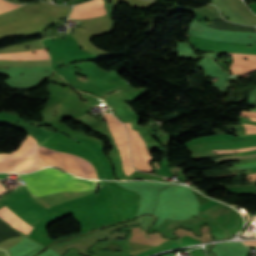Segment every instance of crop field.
I'll return each instance as SVG.
<instances>
[{
    "instance_id": "11",
    "label": "crop field",
    "mask_w": 256,
    "mask_h": 256,
    "mask_svg": "<svg viewBox=\"0 0 256 256\" xmlns=\"http://www.w3.org/2000/svg\"><path fill=\"white\" fill-rule=\"evenodd\" d=\"M250 149H256V146L238 149V150H213V151L217 153H226V152H237V151H244V150H250Z\"/></svg>"
},
{
    "instance_id": "9",
    "label": "crop field",
    "mask_w": 256,
    "mask_h": 256,
    "mask_svg": "<svg viewBox=\"0 0 256 256\" xmlns=\"http://www.w3.org/2000/svg\"><path fill=\"white\" fill-rule=\"evenodd\" d=\"M19 6H21V5H14V4H10L8 2H5L3 0H0V13L10 11L14 8L19 7Z\"/></svg>"
},
{
    "instance_id": "1",
    "label": "crop field",
    "mask_w": 256,
    "mask_h": 256,
    "mask_svg": "<svg viewBox=\"0 0 256 256\" xmlns=\"http://www.w3.org/2000/svg\"><path fill=\"white\" fill-rule=\"evenodd\" d=\"M2 200L7 206L34 226L49 215V213L32 198L31 194L24 186L3 197ZM7 206L2 209L0 208V218L7 221L13 228L28 235L34 226Z\"/></svg>"
},
{
    "instance_id": "8",
    "label": "crop field",
    "mask_w": 256,
    "mask_h": 256,
    "mask_svg": "<svg viewBox=\"0 0 256 256\" xmlns=\"http://www.w3.org/2000/svg\"><path fill=\"white\" fill-rule=\"evenodd\" d=\"M32 136H34L37 141L39 142V145H41L43 142L48 140L50 137L55 135V133L46 130L44 128H35L34 131L31 133Z\"/></svg>"
},
{
    "instance_id": "17",
    "label": "crop field",
    "mask_w": 256,
    "mask_h": 256,
    "mask_svg": "<svg viewBox=\"0 0 256 256\" xmlns=\"http://www.w3.org/2000/svg\"><path fill=\"white\" fill-rule=\"evenodd\" d=\"M157 168L160 169L159 166H157Z\"/></svg>"
},
{
    "instance_id": "4",
    "label": "crop field",
    "mask_w": 256,
    "mask_h": 256,
    "mask_svg": "<svg viewBox=\"0 0 256 256\" xmlns=\"http://www.w3.org/2000/svg\"><path fill=\"white\" fill-rule=\"evenodd\" d=\"M24 143L37 144L36 140L30 135ZM30 144H22L18 150L11 154H0V161L38 156L37 145ZM42 166L43 161L39 157L2 161L0 162V172L27 173L41 169Z\"/></svg>"
},
{
    "instance_id": "10",
    "label": "crop field",
    "mask_w": 256,
    "mask_h": 256,
    "mask_svg": "<svg viewBox=\"0 0 256 256\" xmlns=\"http://www.w3.org/2000/svg\"><path fill=\"white\" fill-rule=\"evenodd\" d=\"M248 120L256 121L255 118H248ZM245 128V133H256V125L243 124Z\"/></svg>"
},
{
    "instance_id": "15",
    "label": "crop field",
    "mask_w": 256,
    "mask_h": 256,
    "mask_svg": "<svg viewBox=\"0 0 256 256\" xmlns=\"http://www.w3.org/2000/svg\"><path fill=\"white\" fill-rule=\"evenodd\" d=\"M6 192V190L2 187V185L0 184V194Z\"/></svg>"
},
{
    "instance_id": "3",
    "label": "crop field",
    "mask_w": 256,
    "mask_h": 256,
    "mask_svg": "<svg viewBox=\"0 0 256 256\" xmlns=\"http://www.w3.org/2000/svg\"><path fill=\"white\" fill-rule=\"evenodd\" d=\"M189 42L195 46V48L201 51H215L219 54L232 52V53H244L256 55V45L248 47L247 45H236L218 42H209L189 36ZM231 54V53H230ZM244 54H231L234 62L230 69L232 73H250L256 71V56L244 55ZM247 58L248 60H243Z\"/></svg>"
},
{
    "instance_id": "5",
    "label": "crop field",
    "mask_w": 256,
    "mask_h": 256,
    "mask_svg": "<svg viewBox=\"0 0 256 256\" xmlns=\"http://www.w3.org/2000/svg\"><path fill=\"white\" fill-rule=\"evenodd\" d=\"M105 115L106 120L108 121L109 130L118 146L120 155L122 157L124 172L126 175H129L134 170L130 162L126 130L124 126L112 115Z\"/></svg>"
},
{
    "instance_id": "16",
    "label": "crop field",
    "mask_w": 256,
    "mask_h": 256,
    "mask_svg": "<svg viewBox=\"0 0 256 256\" xmlns=\"http://www.w3.org/2000/svg\"><path fill=\"white\" fill-rule=\"evenodd\" d=\"M240 116H246V117H248V116H250V117H255L256 118V115H240Z\"/></svg>"
},
{
    "instance_id": "12",
    "label": "crop field",
    "mask_w": 256,
    "mask_h": 256,
    "mask_svg": "<svg viewBox=\"0 0 256 256\" xmlns=\"http://www.w3.org/2000/svg\"><path fill=\"white\" fill-rule=\"evenodd\" d=\"M244 244L256 245V240H252V241H244Z\"/></svg>"
},
{
    "instance_id": "13",
    "label": "crop field",
    "mask_w": 256,
    "mask_h": 256,
    "mask_svg": "<svg viewBox=\"0 0 256 256\" xmlns=\"http://www.w3.org/2000/svg\"><path fill=\"white\" fill-rule=\"evenodd\" d=\"M256 162H252V163H244V164H233V166H240V165H247V164H254Z\"/></svg>"
},
{
    "instance_id": "7",
    "label": "crop field",
    "mask_w": 256,
    "mask_h": 256,
    "mask_svg": "<svg viewBox=\"0 0 256 256\" xmlns=\"http://www.w3.org/2000/svg\"><path fill=\"white\" fill-rule=\"evenodd\" d=\"M0 66L15 67V66H50L49 60H0Z\"/></svg>"
},
{
    "instance_id": "6",
    "label": "crop field",
    "mask_w": 256,
    "mask_h": 256,
    "mask_svg": "<svg viewBox=\"0 0 256 256\" xmlns=\"http://www.w3.org/2000/svg\"><path fill=\"white\" fill-rule=\"evenodd\" d=\"M125 126L129 134L130 149L135 168L143 171H151L152 167L149 165V161L152 158L147 151L144 141L138 132L132 129L130 123H126Z\"/></svg>"
},
{
    "instance_id": "14",
    "label": "crop field",
    "mask_w": 256,
    "mask_h": 256,
    "mask_svg": "<svg viewBox=\"0 0 256 256\" xmlns=\"http://www.w3.org/2000/svg\"><path fill=\"white\" fill-rule=\"evenodd\" d=\"M241 113L242 114H256V112H252V111H250V112L241 111Z\"/></svg>"
},
{
    "instance_id": "2",
    "label": "crop field",
    "mask_w": 256,
    "mask_h": 256,
    "mask_svg": "<svg viewBox=\"0 0 256 256\" xmlns=\"http://www.w3.org/2000/svg\"><path fill=\"white\" fill-rule=\"evenodd\" d=\"M26 182L33 196H42L63 191H88L96 181L76 178L56 168H48L27 175H17Z\"/></svg>"
}]
</instances>
